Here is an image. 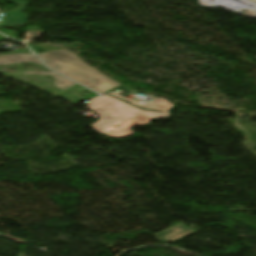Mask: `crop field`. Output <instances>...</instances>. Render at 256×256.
<instances>
[{"instance_id":"obj_1","label":"crop field","mask_w":256,"mask_h":256,"mask_svg":"<svg viewBox=\"0 0 256 256\" xmlns=\"http://www.w3.org/2000/svg\"><path fill=\"white\" fill-rule=\"evenodd\" d=\"M88 106L100 116L92 127L109 138H126L134 133L129 130L131 127L147 124L152 118L171 115L168 112L143 111L109 95L92 99Z\"/></svg>"},{"instance_id":"obj_2","label":"crop field","mask_w":256,"mask_h":256,"mask_svg":"<svg viewBox=\"0 0 256 256\" xmlns=\"http://www.w3.org/2000/svg\"><path fill=\"white\" fill-rule=\"evenodd\" d=\"M37 55L51 69L99 93H106L120 85L81 62L76 54L68 50H57Z\"/></svg>"},{"instance_id":"obj_3","label":"crop field","mask_w":256,"mask_h":256,"mask_svg":"<svg viewBox=\"0 0 256 256\" xmlns=\"http://www.w3.org/2000/svg\"><path fill=\"white\" fill-rule=\"evenodd\" d=\"M110 95L115 96L117 98H120L122 100L128 101L132 105L138 106L142 109H149V110H156V111L166 112V111L171 110L175 106V105L171 104L170 102H168L167 100H165L163 98L155 99V100L143 105L141 103L122 98V97H120L116 94H110Z\"/></svg>"},{"instance_id":"obj_4","label":"crop field","mask_w":256,"mask_h":256,"mask_svg":"<svg viewBox=\"0 0 256 256\" xmlns=\"http://www.w3.org/2000/svg\"><path fill=\"white\" fill-rule=\"evenodd\" d=\"M192 232L193 230H191L190 228L179 224L155 235V237L159 240L173 241Z\"/></svg>"},{"instance_id":"obj_5","label":"crop field","mask_w":256,"mask_h":256,"mask_svg":"<svg viewBox=\"0 0 256 256\" xmlns=\"http://www.w3.org/2000/svg\"><path fill=\"white\" fill-rule=\"evenodd\" d=\"M32 62L38 65H42L39 59L31 54H15L0 56V65Z\"/></svg>"},{"instance_id":"obj_6","label":"crop field","mask_w":256,"mask_h":256,"mask_svg":"<svg viewBox=\"0 0 256 256\" xmlns=\"http://www.w3.org/2000/svg\"><path fill=\"white\" fill-rule=\"evenodd\" d=\"M24 73H25V75H52L54 78H56L54 86H56L62 90H65L67 88H70V87L76 85L72 81H70L54 72H24Z\"/></svg>"},{"instance_id":"obj_7","label":"crop field","mask_w":256,"mask_h":256,"mask_svg":"<svg viewBox=\"0 0 256 256\" xmlns=\"http://www.w3.org/2000/svg\"><path fill=\"white\" fill-rule=\"evenodd\" d=\"M6 15V25L10 26H18L22 23L21 26H24L26 23V17L22 12L17 8Z\"/></svg>"},{"instance_id":"obj_8","label":"crop field","mask_w":256,"mask_h":256,"mask_svg":"<svg viewBox=\"0 0 256 256\" xmlns=\"http://www.w3.org/2000/svg\"><path fill=\"white\" fill-rule=\"evenodd\" d=\"M0 32L4 33V34H6V35H8V36H10V37H12V38H14V39L16 38V37H13L14 34H15V31H10V30H6V29H1Z\"/></svg>"},{"instance_id":"obj_9","label":"crop field","mask_w":256,"mask_h":256,"mask_svg":"<svg viewBox=\"0 0 256 256\" xmlns=\"http://www.w3.org/2000/svg\"><path fill=\"white\" fill-rule=\"evenodd\" d=\"M4 1H7V2H9V3H12V1L11 0H4ZM13 4V3H12Z\"/></svg>"},{"instance_id":"obj_10","label":"crop field","mask_w":256,"mask_h":256,"mask_svg":"<svg viewBox=\"0 0 256 256\" xmlns=\"http://www.w3.org/2000/svg\"><path fill=\"white\" fill-rule=\"evenodd\" d=\"M1 36V35H0Z\"/></svg>"}]
</instances>
